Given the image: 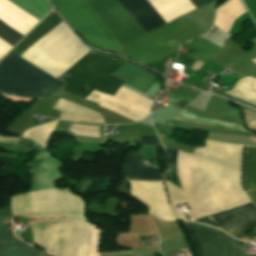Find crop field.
I'll use <instances>...</instances> for the list:
<instances>
[{
  "label": "crop field",
  "mask_w": 256,
  "mask_h": 256,
  "mask_svg": "<svg viewBox=\"0 0 256 256\" xmlns=\"http://www.w3.org/2000/svg\"><path fill=\"white\" fill-rule=\"evenodd\" d=\"M243 145L205 139L204 148L194 153H177L176 171L180 188L165 181L171 207L177 219L187 220L175 206L187 202L192 219L250 203L241 186ZM240 239L256 227L252 203L195 220Z\"/></svg>",
  "instance_id": "1"
},
{
  "label": "crop field",
  "mask_w": 256,
  "mask_h": 256,
  "mask_svg": "<svg viewBox=\"0 0 256 256\" xmlns=\"http://www.w3.org/2000/svg\"><path fill=\"white\" fill-rule=\"evenodd\" d=\"M61 21L52 10L11 51L20 56ZM124 63L120 59L91 51L56 79L67 85L61 92L83 99L93 90L114 96L125 79L112 73Z\"/></svg>",
  "instance_id": "2"
},
{
  "label": "crop field",
  "mask_w": 256,
  "mask_h": 256,
  "mask_svg": "<svg viewBox=\"0 0 256 256\" xmlns=\"http://www.w3.org/2000/svg\"><path fill=\"white\" fill-rule=\"evenodd\" d=\"M201 31L181 16L140 37L117 54L143 64L155 62L176 52L184 42L205 33Z\"/></svg>",
  "instance_id": "3"
},
{
  "label": "crop field",
  "mask_w": 256,
  "mask_h": 256,
  "mask_svg": "<svg viewBox=\"0 0 256 256\" xmlns=\"http://www.w3.org/2000/svg\"><path fill=\"white\" fill-rule=\"evenodd\" d=\"M50 76L10 51L0 60V94L41 99L66 86Z\"/></svg>",
  "instance_id": "4"
},
{
  "label": "crop field",
  "mask_w": 256,
  "mask_h": 256,
  "mask_svg": "<svg viewBox=\"0 0 256 256\" xmlns=\"http://www.w3.org/2000/svg\"><path fill=\"white\" fill-rule=\"evenodd\" d=\"M54 8L65 21L91 46L100 49L118 51L123 46L86 0H50Z\"/></svg>",
  "instance_id": "5"
},
{
  "label": "crop field",
  "mask_w": 256,
  "mask_h": 256,
  "mask_svg": "<svg viewBox=\"0 0 256 256\" xmlns=\"http://www.w3.org/2000/svg\"><path fill=\"white\" fill-rule=\"evenodd\" d=\"M198 256H253L244 250L246 242L235 241L217 229L185 222Z\"/></svg>",
  "instance_id": "6"
},
{
  "label": "crop field",
  "mask_w": 256,
  "mask_h": 256,
  "mask_svg": "<svg viewBox=\"0 0 256 256\" xmlns=\"http://www.w3.org/2000/svg\"><path fill=\"white\" fill-rule=\"evenodd\" d=\"M129 195L147 207L148 212L161 220H176L167 202L162 182L129 181Z\"/></svg>",
  "instance_id": "7"
},
{
  "label": "crop field",
  "mask_w": 256,
  "mask_h": 256,
  "mask_svg": "<svg viewBox=\"0 0 256 256\" xmlns=\"http://www.w3.org/2000/svg\"><path fill=\"white\" fill-rule=\"evenodd\" d=\"M147 33L165 22L146 0H118Z\"/></svg>",
  "instance_id": "8"
},
{
  "label": "crop field",
  "mask_w": 256,
  "mask_h": 256,
  "mask_svg": "<svg viewBox=\"0 0 256 256\" xmlns=\"http://www.w3.org/2000/svg\"><path fill=\"white\" fill-rule=\"evenodd\" d=\"M141 154L130 152L122 169V178L126 180L163 181L156 168L139 164Z\"/></svg>",
  "instance_id": "9"
},
{
  "label": "crop field",
  "mask_w": 256,
  "mask_h": 256,
  "mask_svg": "<svg viewBox=\"0 0 256 256\" xmlns=\"http://www.w3.org/2000/svg\"><path fill=\"white\" fill-rule=\"evenodd\" d=\"M244 186L251 191L256 200V146L246 145Z\"/></svg>",
  "instance_id": "10"
},
{
  "label": "crop field",
  "mask_w": 256,
  "mask_h": 256,
  "mask_svg": "<svg viewBox=\"0 0 256 256\" xmlns=\"http://www.w3.org/2000/svg\"><path fill=\"white\" fill-rule=\"evenodd\" d=\"M184 47L195 51L190 56L191 59H195L203 62H205L211 54L221 49L203 38L196 40L192 43H189Z\"/></svg>",
  "instance_id": "11"
},
{
  "label": "crop field",
  "mask_w": 256,
  "mask_h": 256,
  "mask_svg": "<svg viewBox=\"0 0 256 256\" xmlns=\"http://www.w3.org/2000/svg\"><path fill=\"white\" fill-rule=\"evenodd\" d=\"M58 121L47 123L36 128L28 129L22 135L23 137L31 138L39 142L45 147L50 135L52 134Z\"/></svg>",
  "instance_id": "12"
},
{
  "label": "crop field",
  "mask_w": 256,
  "mask_h": 256,
  "mask_svg": "<svg viewBox=\"0 0 256 256\" xmlns=\"http://www.w3.org/2000/svg\"><path fill=\"white\" fill-rule=\"evenodd\" d=\"M23 35L19 34L12 28L8 27L0 21V40L8 44L9 46L15 45Z\"/></svg>",
  "instance_id": "13"
},
{
  "label": "crop field",
  "mask_w": 256,
  "mask_h": 256,
  "mask_svg": "<svg viewBox=\"0 0 256 256\" xmlns=\"http://www.w3.org/2000/svg\"><path fill=\"white\" fill-rule=\"evenodd\" d=\"M164 148H165L166 166H175L177 150L167 148V147H164Z\"/></svg>",
  "instance_id": "14"
},
{
  "label": "crop field",
  "mask_w": 256,
  "mask_h": 256,
  "mask_svg": "<svg viewBox=\"0 0 256 256\" xmlns=\"http://www.w3.org/2000/svg\"><path fill=\"white\" fill-rule=\"evenodd\" d=\"M137 142L146 144V145L157 146V138L155 137L142 135Z\"/></svg>",
  "instance_id": "15"
},
{
  "label": "crop field",
  "mask_w": 256,
  "mask_h": 256,
  "mask_svg": "<svg viewBox=\"0 0 256 256\" xmlns=\"http://www.w3.org/2000/svg\"><path fill=\"white\" fill-rule=\"evenodd\" d=\"M191 2L195 5L196 8H198L206 4L212 3L213 0H191Z\"/></svg>",
  "instance_id": "16"
},
{
  "label": "crop field",
  "mask_w": 256,
  "mask_h": 256,
  "mask_svg": "<svg viewBox=\"0 0 256 256\" xmlns=\"http://www.w3.org/2000/svg\"><path fill=\"white\" fill-rule=\"evenodd\" d=\"M249 130L256 135V130H251V129H249Z\"/></svg>",
  "instance_id": "17"
},
{
  "label": "crop field",
  "mask_w": 256,
  "mask_h": 256,
  "mask_svg": "<svg viewBox=\"0 0 256 256\" xmlns=\"http://www.w3.org/2000/svg\"><path fill=\"white\" fill-rule=\"evenodd\" d=\"M141 256H152V255H141Z\"/></svg>",
  "instance_id": "18"
}]
</instances>
